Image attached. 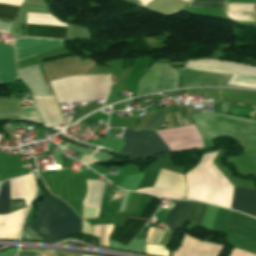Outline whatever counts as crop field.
Here are the masks:
<instances>
[{
	"label": "crop field",
	"mask_w": 256,
	"mask_h": 256,
	"mask_svg": "<svg viewBox=\"0 0 256 256\" xmlns=\"http://www.w3.org/2000/svg\"><path fill=\"white\" fill-rule=\"evenodd\" d=\"M192 118L204 138L232 136L234 131L256 135V120L224 114H192ZM204 138L205 147L213 146L211 140Z\"/></svg>",
	"instance_id": "3"
},
{
	"label": "crop field",
	"mask_w": 256,
	"mask_h": 256,
	"mask_svg": "<svg viewBox=\"0 0 256 256\" xmlns=\"http://www.w3.org/2000/svg\"><path fill=\"white\" fill-rule=\"evenodd\" d=\"M222 246H223V245H222ZM223 248H224V247H223ZM222 250H223V249H222ZM222 250H221V251H222ZM220 253H221V252H220ZM220 253H219V254H220ZM218 256H219V255H218Z\"/></svg>",
	"instance_id": "24"
},
{
	"label": "crop field",
	"mask_w": 256,
	"mask_h": 256,
	"mask_svg": "<svg viewBox=\"0 0 256 256\" xmlns=\"http://www.w3.org/2000/svg\"><path fill=\"white\" fill-rule=\"evenodd\" d=\"M160 168H154L145 172L141 183L137 188L152 187ZM136 188V189H137Z\"/></svg>",
	"instance_id": "20"
},
{
	"label": "crop field",
	"mask_w": 256,
	"mask_h": 256,
	"mask_svg": "<svg viewBox=\"0 0 256 256\" xmlns=\"http://www.w3.org/2000/svg\"><path fill=\"white\" fill-rule=\"evenodd\" d=\"M185 1L189 2L190 0H185Z\"/></svg>",
	"instance_id": "25"
},
{
	"label": "crop field",
	"mask_w": 256,
	"mask_h": 256,
	"mask_svg": "<svg viewBox=\"0 0 256 256\" xmlns=\"http://www.w3.org/2000/svg\"><path fill=\"white\" fill-rule=\"evenodd\" d=\"M226 0H192L187 7L223 8Z\"/></svg>",
	"instance_id": "18"
},
{
	"label": "crop field",
	"mask_w": 256,
	"mask_h": 256,
	"mask_svg": "<svg viewBox=\"0 0 256 256\" xmlns=\"http://www.w3.org/2000/svg\"><path fill=\"white\" fill-rule=\"evenodd\" d=\"M86 181L87 194L83 201V206H100L105 183L92 180Z\"/></svg>",
	"instance_id": "15"
},
{
	"label": "crop field",
	"mask_w": 256,
	"mask_h": 256,
	"mask_svg": "<svg viewBox=\"0 0 256 256\" xmlns=\"http://www.w3.org/2000/svg\"><path fill=\"white\" fill-rule=\"evenodd\" d=\"M232 209L256 217V191L234 188Z\"/></svg>",
	"instance_id": "11"
},
{
	"label": "crop field",
	"mask_w": 256,
	"mask_h": 256,
	"mask_svg": "<svg viewBox=\"0 0 256 256\" xmlns=\"http://www.w3.org/2000/svg\"><path fill=\"white\" fill-rule=\"evenodd\" d=\"M178 87L192 84H225L229 75L178 68Z\"/></svg>",
	"instance_id": "8"
},
{
	"label": "crop field",
	"mask_w": 256,
	"mask_h": 256,
	"mask_svg": "<svg viewBox=\"0 0 256 256\" xmlns=\"http://www.w3.org/2000/svg\"><path fill=\"white\" fill-rule=\"evenodd\" d=\"M156 133L171 151L203 147L201 136L194 124Z\"/></svg>",
	"instance_id": "6"
},
{
	"label": "crop field",
	"mask_w": 256,
	"mask_h": 256,
	"mask_svg": "<svg viewBox=\"0 0 256 256\" xmlns=\"http://www.w3.org/2000/svg\"><path fill=\"white\" fill-rule=\"evenodd\" d=\"M160 64L150 67L148 72L142 76L139 82L136 95H143L155 92L157 88L158 74ZM176 87V72L167 64H161L157 91L163 89H172Z\"/></svg>",
	"instance_id": "5"
},
{
	"label": "crop field",
	"mask_w": 256,
	"mask_h": 256,
	"mask_svg": "<svg viewBox=\"0 0 256 256\" xmlns=\"http://www.w3.org/2000/svg\"><path fill=\"white\" fill-rule=\"evenodd\" d=\"M168 108L157 109L152 118L146 124V126L142 130H152L153 127L158 123V121L163 117V115L167 112Z\"/></svg>",
	"instance_id": "22"
},
{
	"label": "crop field",
	"mask_w": 256,
	"mask_h": 256,
	"mask_svg": "<svg viewBox=\"0 0 256 256\" xmlns=\"http://www.w3.org/2000/svg\"><path fill=\"white\" fill-rule=\"evenodd\" d=\"M9 209L8 181L2 183L0 187V214L7 213Z\"/></svg>",
	"instance_id": "19"
},
{
	"label": "crop field",
	"mask_w": 256,
	"mask_h": 256,
	"mask_svg": "<svg viewBox=\"0 0 256 256\" xmlns=\"http://www.w3.org/2000/svg\"><path fill=\"white\" fill-rule=\"evenodd\" d=\"M19 8L0 5V19L13 21Z\"/></svg>",
	"instance_id": "21"
},
{
	"label": "crop field",
	"mask_w": 256,
	"mask_h": 256,
	"mask_svg": "<svg viewBox=\"0 0 256 256\" xmlns=\"http://www.w3.org/2000/svg\"><path fill=\"white\" fill-rule=\"evenodd\" d=\"M146 221L147 220H137L124 217L121 227L115 225L110 236V240H114L126 246Z\"/></svg>",
	"instance_id": "10"
},
{
	"label": "crop field",
	"mask_w": 256,
	"mask_h": 256,
	"mask_svg": "<svg viewBox=\"0 0 256 256\" xmlns=\"http://www.w3.org/2000/svg\"><path fill=\"white\" fill-rule=\"evenodd\" d=\"M68 200L82 199L85 184L82 175H66Z\"/></svg>",
	"instance_id": "16"
},
{
	"label": "crop field",
	"mask_w": 256,
	"mask_h": 256,
	"mask_svg": "<svg viewBox=\"0 0 256 256\" xmlns=\"http://www.w3.org/2000/svg\"><path fill=\"white\" fill-rule=\"evenodd\" d=\"M122 139L126 142L120 154L128 157H149L169 150L155 132H131V129H124Z\"/></svg>",
	"instance_id": "4"
},
{
	"label": "crop field",
	"mask_w": 256,
	"mask_h": 256,
	"mask_svg": "<svg viewBox=\"0 0 256 256\" xmlns=\"http://www.w3.org/2000/svg\"><path fill=\"white\" fill-rule=\"evenodd\" d=\"M67 26L27 24V36L66 38Z\"/></svg>",
	"instance_id": "13"
},
{
	"label": "crop field",
	"mask_w": 256,
	"mask_h": 256,
	"mask_svg": "<svg viewBox=\"0 0 256 256\" xmlns=\"http://www.w3.org/2000/svg\"><path fill=\"white\" fill-rule=\"evenodd\" d=\"M17 61L29 56L62 47V41L41 39H20L14 42Z\"/></svg>",
	"instance_id": "7"
},
{
	"label": "crop field",
	"mask_w": 256,
	"mask_h": 256,
	"mask_svg": "<svg viewBox=\"0 0 256 256\" xmlns=\"http://www.w3.org/2000/svg\"><path fill=\"white\" fill-rule=\"evenodd\" d=\"M160 199L144 194L138 202L133 214L130 216L138 218H150L158 208Z\"/></svg>",
	"instance_id": "14"
},
{
	"label": "crop field",
	"mask_w": 256,
	"mask_h": 256,
	"mask_svg": "<svg viewBox=\"0 0 256 256\" xmlns=\"http://www.w3.org/2000/svg\"><path fill=\"white\" fill-rule=\"evenodd\" d=\"M195 202L193 201H176L173 209L167 216L165 223L168 225L171 234L174 230L183 226L188 218V214Z\"/></svg>",
	"instance_id": "12"
},
{
	"label": "crop field",
	"mask_w": 256,
	"mask_h": 256,
	"mask_svg": "<svg viewBox=\"0 0 256 256\" xmlns=\"http://www.w3.org/2000/svg\"><path fill=\"white\" fill-rule=\"evenodd\" d=\"M110 75L72 76L51 81L59 103L88 99H105Z\"/></svg>",
	"instance_id": "2"
},
{
	"label": "crop field",
	"mask_w": 256,
	"mask_h": 256,
	"mask_svg": "<svg viewBox=\"0 0 256 256\" xmlns=\"http://www.w3.org/2000/svg\"><path fill=\"white\" fill-rule=\"evenodd\" d=\"M38 217L29 227L42 239L56 242L82 233L81 219L71 208L50 193L37 204Z\"/></svg>",
	"instance_id": "1"
},
{
	"label": "crop field",
	"mask_w": 256,
	"mask_h": 256,
	"mask_svg": "<svg viewBox=\"0 0 256 256\" xmlns=\"http://www.w3.org/2000/svg\"><path fill=\"white\" fill-rule=\"evenodd\" d=\"M39 65H40V64H39ZM40 69H41V73L43 74L44 72H43V70H42L41 65H40ZM42 76H43V79H44V81H45V84L48 85L49 83H48V81H47L45 75L43 74Z\"/></svg>",
	"instance_id": "23"
},
{
	"label": "crop field",
	"mask_w": 256,
	"mask_h": 256,
	"mask_svg": "<svg viewBox=\"0 0 256 256\" xmlns=\"http://www.w3.org/2000/svg\"><path fill=\"white\" fill-rule=\"evenodd\" d=\"M17 79L13 46L0 44V83Z\"/></svg>",
	"instance_id": "9"
},
{
	"label": "crop field",
	"mask_w": 256,
	"mask_h": 256,
	"mask_svg": "<svg viewBox=\"0 0 256 256\" xmlns=\"http://www.w3.org/2000/svg\"><path fill=\"white\" fill-rule=\"evenodd\" d=\"M48 185L51 192L58 196V198L64 199V179L62 175L44 176L41 177Z\"/></svg>",
	"instance_id": "17"
}]
</instances>
